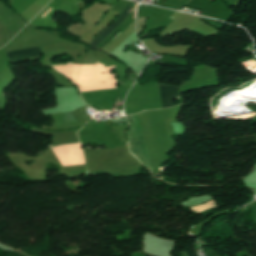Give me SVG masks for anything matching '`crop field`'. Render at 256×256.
I'll list each match as a JSON object with an SVG mask.
<instances>
[{
  "instance_id": "4",
  "label": "crop field",
  "mask_w": 256,
  "mask_h": 256,
  "mask_svg": "<svg viewBox=\"0 0 256 256\" xmlns=\"http://www.w3.org/2000/svg\"><path fill=\"white\" fill-rule=\"evenodd\" d=\"M8 56L9 61H14L22 58L33 57L41 55V51L38 47L25 49V50H18L6 53Z\"/></svg>"
},
{
  "instance_id": "7",
  "label": "crop field",
  "mask_w": 256,
  "mask_h": 256,
  "mask_svg": "<svg viewBox=\"0 0 256 256\" xmlns=\"http://www.w3.org/2000/svg\"><path fill=\"white\" fill-rule=\"evenodd\" d=\"M46 17H47V16H46ZM46 17H45V18H46ZM45 18H44V19H45ZM44 19H43V20H44ZM43 20H42V21H43ZM42 21H41V22H42Z\"/></svg>"
},
{
  "instance_id": "5",
  "label": "crop field",
  "mask_w": 256,
  "mask_h": 256,
  "mask_svg": "<svg viewBox=\"0 0 256 256\" xmlns=\"http://www.w3.org/2000/svg\"><path fill=\"white\" fill-rule=\"evenodd\" d=\"M146 18H137V35L142 31L144 28L145 20Z\"/></svg>"
},
{
  "instance_id": "3",
  "label": "crop field",
  "mask_w": 256,
  "mask_h": 256,
  "mask_svg": "<svg viewBox=\"0 0 256 256\" xmlns=\"http://www.w3.org/2000/svg\"><path fill=\"white\" fill-rule=\"evenodd\" d=\"M161 107H172V102L177 98L176 87L162 86L159 84Z\"/></svg>"
},
{
  "instance_id": "2",
  "label": "crop field",
  "mask_w": 256,
  "mask_h": 256,
  "mask_svg": "<svg viewBox=\"0 0 256 256\" xmlns=\"http://www.w3.org/2000/svg\"><path fill=\"white\" fill-rule=\"evenodd\" d=\"M132 11V9L126 7L123 13L116 20H114L113 24L99 33L97 37L91 41L90 45L96 48Z\"/></svg>"
},
{
  "instance_id": "1",
  "label": "crop field",
  "mask_w": 256,
  "mask_h": 256,
  "mask_svg": "<svg viewBox=\"0 0 256 256\" xmlns=\"http://www.w3.org/2000/svg\"><path fill=\"white\" fill-rule=\"evenodd\" d=\"M130 120H131V126L127 131V140H128L129 149L132 155L138 158L141 161V163L148 168L137 115H131Z\"/></svg>"
},
{
  "instance_id": "6",
  "label": "crop field",
  "mask_w": 256,
  "mask_h": 256,
  "mask_svg": "<svg viewBox=\"0 0 256 256\" xmlns=\"http://www.w3.org/2000/svg\"><path fill=\"white\" fill-rule=\"evenodd\" d=\"M70 65H75V64H70ZM57 66H62V65H57Z\"/></svg>"
}]
</instances>
